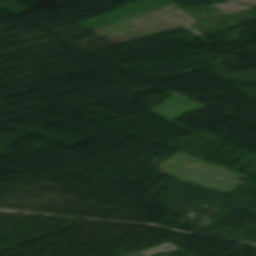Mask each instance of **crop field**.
Here are the masks:
<instances>
[{
	"mask_svg": "<svg viewBox=\"0 0 256 256\" xmlns=\"http://www.w3.org/2000/svg\"><path fill=\"white\" fill-rule=\"evenodd\" d=\"M174 248H176V247L168 244V245L160 246V247H157V248H153V249H150V250L142 251V252L135 253V254L128 255V256H150V255H152V254H154L156 252L170 251V250H172Z\"/></svg>",
	"mask_w": 256,
	"mask_h": 256,
	"instance_id": "obj_1",
	"label": "crop field"
}]
</instances>
